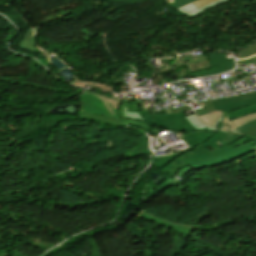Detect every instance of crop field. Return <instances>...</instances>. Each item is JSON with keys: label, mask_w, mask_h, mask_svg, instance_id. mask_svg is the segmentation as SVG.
Segmentation results:
<instances>
[{"label": "crop field", "mask_w": 256, "mask_h": 256, "mask_svg": "<svg viewBox=\"0 0 256 256\" xmlns=\"http://www.w3.org/2000/svg\"><path fill=\"white\" fill-rule=\"evenodd\" d=\"M252 56V55H251ZM247 57H249V56H246V57H240V58H247Z\"/></svg>", "instance_id": "21"}, {"label": "crop field", "mask_w": 256, "mask_h": 256, "mask_svg": "<svg viewBox=\"0 0 256 256\" xmlns=\"http://www.w3.org/2000/svg\"><path fill=\"white\" fill-rule=\"evenodd\" d=\"M224 113L222 112H214L205 116L199 117L202 122L212 126Z\"/></svg>", "instance_id": "12"}, {"label": "crop field", "mask_w": 256, "mask_h": 256, "mask_svg": "<svg viewBox=\"0 0 256 256\" xmlns=\"http://www.w3.org/2000/svg\"><path fill=\"white\" fill-rule=\"evenodd\" d=\"M161 131H164V130H162V129H160V128L154 127L153 130H152L150 133L157 135V134H158L159 132H161Z\"/></svg>", "instance_id": "19"}, {"label": "crop field", "mask_w": 256, "mask_h": 256, "mask_svg": "<svg viewBox=\"0 0 256 256\" xmlns=\"http://www.w3.org/2000/svg\"><path fill=\"white\" fill-rule=\"evenodd\" d=\"M208 54L212 65L219 66V68L212 69L207 72H201L199 74H191L192 77H205L216 75L222 72L230 71L235 67L234 59H226V55L211 52H208Z\"/></svg>", "instance_id": "5"}, {"label": "crop field", "mask_w": 256, "mask_h": 256, "mask_svg": "<svg viewBox=\"0 0 256 256\" xmlns=\"http://www.w3.org/2000/svg\"><path fill=\"white\" fill-rule=\"evenodd\" d=\"M193 1H195V0H173V3H171V4L177 8V7H180L184 4H187V3H190Z\"/></svg>", "instance_id": "17"}, {"label": "crop field", "mask_w": 256, "mask_h": 256, "mask_svg": "<svg viewBox=\"0 0 256 256\" xmlns=\"http://www.w3.org/2000/svg\"><path fill=\"white\" fill-rule=\"evenodd\" d=\"M136 155H148L149 156L147 138H143L142 142L135 147L131 156H136Z\"/></svg>", "instance_id": "11"}, {"label": "crop field", "mask_w": 256, "mask_h": 256, "mask_svg": "<svg viewBox=\"0 0 256 256\" xmlns=\"http://www.w3.org/2000/svg\"><path fill=\"white\" fill-rule=\"evenodd\" d=\"M255 119H256V113L250 114L245 117H240V118L234 119L232 121H230L227 117H225V119L221 122L219 129L233 130V129H235L249 121L255 120Z\"/></svg>", "instance_id": "7"}, {"label": "crop field", "mask_w": 256, "mask_h": 256, "mask_svg": "<svg viewBox=\"0 0 256 256\" xmlns=\"http://www.w3.org/2000/svg\"><path fill=\"white\" fill-rule=\"evenodd\" d=\"M253 99V101H252ZM216 111H222L225 114L213 125V127L218 128L220 122L223 118L231 111L256 104V92L249 93L240 96H234L224 99H218L211 101Z\"/></svg>", "instance_id": "4"}, {"label": "crop field", "mask_w": 256, "mask_h": 256, "mask_svg": "<svg viewBox=\"0 0 256 256\" xmlns=\"http://www.w3.org/2000/svg\"><path fill=\"white\" fill-rule=\"evenodd\" d=\"M213 1H215V0H198L196 2H193V4L196 5L198 8H200V7H202V6L206 5V4H209V3L213 2Z\"/></svg>", "instance_id": "18"}, {"label": "crop field", "mask_w": 256, "mask_h": 256, "mask_svg": "<svg viewBox=\"0 0 256 256\" xmlns=\"http://www.w3.org/2000/svg\"><path fill=\"white\" fill-rule=\"evenodd\" d=\"M223 1H227V0H217V1H215V2H213L211 4H209V5H206V6L202 7V8H200V9H198L196 6H194L191 3V4H188V5H185V6L181 7V8H178L177 10L183 12L186 15L195 16L198 13H200L201 11H203V10L209 8V7H212V6H214V5L218 4V3H221Z\"/></svg>", "instance_id": "8"}, {"label": "crop field", "mask_w": 256, "mask_h": 256, "mask_svg": "<svg viewBox=\"0 0 256 256\" xmlns=\"http://www.w3.org/2000/svg\"><path fill=\"white\" fill-rule=\"evenodd\" d=\"M235 131L256 141V120L245 124L244 126L236 129Z\"/></svg>", "instance_id": "9"}, {"label": "crop field", "mask_w": 256, "mask_h": 256, "mask_svg": "<svg viewBox=\"0 0 256 256\" xmlns=\"http://www.w3.org/2000/svg\"><path fill=\"white\" fill-rule=\"evenodd\" d=\"M126 120H127V122H128L130 125H132V126H134V127H137V128H139V129H141V130L147 132V133L153 128V127H151V126H149V125H147V124H145V123H141V122L136 121V120H131V119H126Z\"/></svg>", "instance_id": "13"}, {"label": "crop field", "mask_w": 256, "mask_h": 256, "mask_svg": "<svg viewBox=\"0 0 256 256\" xmlns=\"http://www.w3.org/2000/svg\"><path fill=\"white\" fill-rule=\"evenodd\" d=\"M214 111L215 110H214L211 102H209L206 106L196 110V113L198 114V116H200V115L208 114V113H211V112H214Z\"/></svg>", "instance_id": "15"}, {"label": "crop field", "mask_w": 256, "mask_h": 256, "mask_svg": "<svg viewBox=\"0 0 256 256\" xmlns=\"http://www.w3.org/2000/svg\"><path fill=\"white\" fill-rule=\"evenodd\" d=\"M255 53H256V43L251 44V45L247 46L246 48L242 49L241 51H239L238 54L236 55V57L251 55V54H255Z\"/></svg>", "instance_id": "14"}, {"label": "crop field", "mask_w": 256, "mask_h": 256, "mask_svg": "<svg viewBox=\"0 0 256 256\" xmlns=\"http://www.w3.org/2000/svg\"><path fill=\"white\" fill-rule=\"evenodd\" d=\"M239 62H256V56L251 57V58H249V59H247V60H241V61H239Z\"/></svg>", "instance_id": "20"}, {"label": "crop field", "mask_w": 256, "mask_h": 256, "mask_svg": "<svg viewBox=\"0 0 256 256\" xmlns=\"http://www.w3.org/2000/svg\"><path fill=\"white\" fill-rule=\"evenodd\" d=\"M124 115L126 118L136 119L151 126L174 132H218V130L203 125L195 115L186 117L184 112L150 115V111L133 112V105H125Z\"/></svg>", "instance_id": "2"}, {"label": "crop field", "mask_w": 256, "mask_h": 256, "mask_svg": "<svg viewBox=\"0 0 256 256\" xmlns=\"http://www.w3.org/2000/svg\"><path fill=\"white\" fill-rule=\"evenodd\" d=\"M139 218L150 221V222H153V223H156L158 225H161V226H164L166 228L175 230L177 232H181V233H183L187 236H189V234L192 230V228H190V227H185V226H181V225L168 223V222L162 221L160 219L154 218L152 216H149V215L145 214L144 212L141 214V216Z\"/></svg>", "instance_id": "6"}, {"label": "crop field", "mask_w": 256, "mask_h": 256, "mask_svg": "<svg viewBox=\"0 0 256 256\" xmlns=\"http://www.w3.org/2000/svg\"><path fill=\"white\" fill-rule=\"evenodd\" d=\"M83 103L79 117L114 127H125L119 112L120 102L88 91L81 95Z\"/></svg>", "instance_id": "3"}, {"label": "crop field", "mask_w": 256, "mask_h": 256, "mask_svg": "<svg viewBox=\"0 0 256 256\" xmlns=\"http://www.w3.org/2000/svg\"><path fill=\"white\" fill-rule=\"evenodd\" d=\"M226 134L228 135L229 138L224 139L225 143H231L239 138H241L242 136L238 135L237 133L234 132H226Z\"/></svg>", "instance_id": "16"}, {"label": "crop field", "mask_w": 256, "mask_h": 256, "mask_svg": "<svg viewBox=\"0 0 256 256\" xmlns=\"http://www.w3.org/2000/svg\"><path fill=\"white\" fill-rule=\"evenodd\" d=\"M181 136L191 148L168 156H153L151 166L172 173L170 177L187 165L195 169L210 167L225 163L245 153L256 150V146L251 147L249 144L236 149L231 145L220 149L215 141L221 142L224 146L226 144L222 139L227 138L225 132L221 131L218 133H190Z\"/></svg>", "instance_id": "1"}, {"label": "crop field", "mask_w": 256, "mask_h": 256, "mask_svg": "<svg viewBox=\"0 0 256 256\" xmlns=\"http://www.w3.org/2000/svg\"><path fill=\"white\" fill-rule=\"evenodd\" d=\"M253 112H256V105L235 110V111L229 113L227 115V117L230 120H232L234 118H237V117H240V116H244V115H248V114L253 113Z\"/></svg>", "instance_id": "10"}]
</instances>
